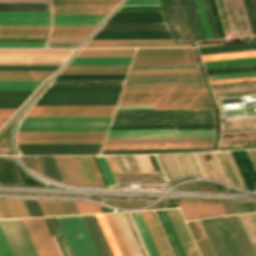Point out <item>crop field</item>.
Returning a JSON list of instances; mask_svg holds the SVG:
<instances>
[{"mask_svg":"<svg viewBox=\"0 0 256 256\" xmlns=\"http://www.w3.org/2000/svg\"><path fill=\"white\" fill-rule=\"evenodd\" d=\"M84 184L98 185L85 156H71Z\"/></svg>","mask_w":256,"mask_h":256,"instance_id":"crop-field-36","label":"crop field"},{"mask_svg":"<svg viewBox=\"0 0 256 256\" xmlns=\"http://www.w3.org/2000/svg\"><path fill=\"white\" fill-rule=\"evenodd\" d=\"M205 38L212 39L201 0H195Z\"/></svg>","mask_w":256,"mask_h":256,"instance_id":"crop-field-59","label":"crop field"},{"mask_svg":"<svg viewBox=\"0 0 256 256\" xmlns=\"http://www.w3.org/2000/svg\"><path fill=\"white\" fill-rule=\"evenodd\" d=\"M255 56H256V50L250 51V52L244 51V52L204 55L200 57L202 61H208V60L232 59V58L255 57Z\"/></svg>","mask_w":256,"mask_h":256,"instance_id":"crop-field-44","label":"crop field"},{"mask_svg":"<svg viewBox=\"0 0 256 256\" xmlns=\"http://www.w3.org/2000/svg\"><path fill=\"white\" fill-rule=\"evenodd\" d=\"M159 127H176V130H188V129H215V124H198V125H162V126H127V127H110L109 129H125V128H159ZM134 130H175V128H159V129H125V130H109V131H134Z\"/></svg>","mask_w":256,"mask_h":256,"instance_id":"crop-field-34","label":"crop field"},{"mask_svg":"<svg viewBox=\"0 0 256 256\" xmlns=\"http://www.w3.org/2000/svg\"><path fill=\"white\" fill-rule=\"evenodd\" d=\"M124 156H125L128 164H129L131 170L136 171V172H140L137 165H136V162L134 163L135 160H134L133 156L132 155H124Z\"/></svg>","mask_w":256,"mask_h":256,"instance_id":"crop-field-73","label":"crop field"},{"mask_svg":"<svg viewBox=\"0 0 256 256\" xmlns=\"http://www.w3.org/2000/svg\"><path fill=\"white\" fill-rule=\"evenodd\" d=\"M215 137L106 140L104 144L214 142Z\"/></svg>","mask_w":256,"mask_h":256,"instance_id":"crop-field-25","label":"crop field"},{"mask_svg":"<svg viewBox=\"0 0 256 256\" xmlns=\"http://www.w3.org/2000/svg\"><path fill=\"white\" fill-rule=\"evenodd\" d=\"M174 10H175L176 18L178 21L179 29L181 32L182 40L191 41L188 33L187 25L185 22V18L183 15L182 7L181 6L174 7Z\"/></svg>","mask_w":256,"mask_h":256,"instance_id":"crop-field-49","label":"crop field"},{"mask_svg":"<svg viewBox=\"0 0 256 256\" xmlns=\"http://www.w3.org/2000/svg\"><path fill=\"white\" fill-rule=\"evenodd\" d=\"M254 70H256V65L242 66V67H231V68H220V69H210V70H205V71H206L207 75H212V74L244 72V71H254Z\"/></svg>","mask_w":256,"mask_h":256,"instance_id":"crop-field-54","label":"crop field"},{"mask_svg":"<svg viewBox=\"0 0 256 256\" xmlns=\"http://www.w3.org/2000/svg\"><path fill=\"white\" fill-rule=\"evenodd\" d=\"M46 43H0V47H45Z\"/></svg>","mask_w":256,"mask_h":256,"instance_id":"crop-field-64","label":"crop field"},{"mask_svg":"<svg viewBox=\"0 0 256 256\" xmlns=\"http://www.w3.org/2000/svg\"><path fill=\"white\" fill-rule=\"evenodd\" d=\"M63 215L79 214L73 202L56 201Z\"/></svg>","mask_w":256,"mask_h":256,"instance_id":"crop-field-62","label":"crop field"},{"mask_svg":"<svg viewBox=\"0 0 256 256\" xmlns=\"http://www.w3.org/2000/svg\"><path fill=\"white\" fill-rule=\"evenodd\" d=\"M140 213H141V215L146 223V226L153 238V241L159 251L160 256H169L150 212L144 211V212H140Z\"/></svg>","mask_w":256,"mask_h":256,"instance_id":"crop-field-35","label":"crop field"},{"mask_svg":"<svg viewBox=\"0 0 256 256\" xmlns=\"http://www.w3.org/2000/svg\"><path fill=\"white\" fill-rule=\"evenodd\" d=\"M14 218L30 217L22 200H6Z\"/></svg>","mask_w":256,"mask_h":256,"instance_id":"crop-field-47","label":"crop field"},{"mask_svg":"<svg viewBox=\"0 0 256 256\" xmlns=\"http://www.w3.org/2000/svg\"><path fill=\"white\" fill-rule=\"evenodd\" d=\"M55 218L73 256H98L80 216Z\"/></svg>","mask_w":256,"mask_h":256,"instance_id":"crop-field-4","label":"crop field"},{"mask_svg":"<svg viewBox=\"0 0 256 256\" xmlns=\"http://www.w3.org/2000/svg\"><path fill=\"white\" fill-rule=\"evenodd\" d=\"M173 6L182 5L191 40L204 39L194 0H172Z\"/></svg>","mask_w":256,"mask_h":256,"instance_id":"crop-field-17","label":"crop field"},{"mask_svg":"<svg viewBox=\"0 0 256 256\" xmlns=\"http://www.w3.org/2000/svg\"><path fill=\"white\" fill-rule=\"evenodd\" d=\"M177 42L182 41L170 0H162Z\"/></svg>","mask_w":256,"mask_h":256,"instance_id":"crop-field-48","label":"crop field"},{"mask_svg":"<svg viewBox=\"0 0 256 256\" xmlns=\"http://www.w3.org/2000/svg\"><path fill=\"white\" fill-rule=\"evenodd\" d=\"M170 30L167 23H105L100 31Z\"/></svg>","mask_w":256,"mask_h":256,"instance_id":"crop-field-23","label":"crop field"},{"mask_svg":"<svg viewBox=\"0 0 256 256\" xmlns=\"http://www.w3.org/2000/svg\"><path fill=\"white\" fill-rule=\"evenodd\" d=\"M95 216H96V218H97V220H98V222L100 224V227H101V229H102V231H103V233L105 235V238H106V240H107V242L109 244V247H110L113 255L114 256H121V254H120V252L118 250V247H117V245H116V243H115V241H114V239L112 237V234H111V232H110V230H109V228L107 226V223H106L103 215L102 214H98V215H95Z\"/></svg>","mask_w":256,"mask_h":256,"instance_id":"crop-field-43","label":"crop field"},{"mask_svg":"<svg viewBox=\"0 0 256 256\" xmlns=\"http://www.w3.org/2000/svg\"><path fill=\"white\" fill-rule=\"evenodd\" d=\"M116 106H33L26 117L112 116Z\"/></svg>","mask_w":256,"mask_h":256,"instance_id":"crop-field-8","label":"crop field"},{"mask_svg":"<svg viewBox=\"0 0 256 256\" xmlns=\"http://www.w3.org/2000/svg\"><path fill=\"white\" fill-rule=\"evenodd\" d=\"M122 256H131L111 213L103 214Z\"/></svg>","mask_w":256,"mask_h":256,"instance_id":"crop-field-39","label":"crop field"},{"mask_svg":"<svg viewBox=\"0 0 256 256\" xmlns=\"http://www.w3.org/2000/svg\"><path fill=\"white\" fill-rule=\"evenodd\" d=\"M215 136V130L108 132L106 139Z\"/></svg>","mask_w":256,"mask_h":256,"instance_id":"crop-field-13","label":"crop field"},{"mask_svg":"<svg viewBox=\"0 0 256 256\" xmlns=\"http://www.w3.org/2000/svg\"><path fill=\"white\" fill-rule=\"evenodd\" d=\"M200 222L217 256H242L223 217Z\"/></svg>","mask_w":256,"mask_h":256,"instance_id":"crop-field-7","label":"crop field"},{"mask_svg":"<svg viewBox=\"0 0 256 256\" xmlns=\"http://www.w3.org/2000/svg\"><path fill=\"white\" fill-rule=\"evenodd\" d=\"M80 214L98 213L100 212L98 206L86 203L74 202Z\"/></svg>","mask_w":256,"mask_h":256,"instance_id":"crop-field-63","label":"crop field"},{"mask_svg":"<svg viewBox=\"0 0 256 256\" xmlns=\"http://www.w3.org/2000/svg\"><path fill=\"white\" fill-rule=\"evenodd\" d=\"M50 26H0V37H48Z\"/></svg>","mask_w":256,"mask_h":256,"instance_id":"crop-field-20","label":"crop field"},{"mask_svg":"<svg viewBox=\"0 0 256 256\" xmlns=\"http://www.w3.org/2000/svg\"><path fill=\"white\" fill-rule=\"evenodd\" d=\"M221 204H222L227 215L237 213L233 204H223V203H221Z\"/></svg>","mask_w":256,"mask_h":256,"instance_id":"crop-field-74","label":"crop field"},{"mask_svg":"<svg viewBox=\"0 0 256 256\" xmlns=\"http://www.w3.org/2000/svg\"><path fill=\"white\" fill-rule=\"evenodd\" d=\"M115 5L52 4V13H108Z\"/></svg>","mask_w":256,"mask_h":256,"instance_id":"crop-field-21","label":"crop field"},{"mask_svg":"<svg viewBox=\"0 0 256 256\" xmlns=\"http://www.w3.org/2000/svg\"><path fill=\"white\" fill-rule=\"evenodd\" d=\"M0 256H14L0 225Z\"/></svg>","mask_w":256,"mask_h":256,"instance_id":"crop-field-61","label":"crop field"},{"mask_svg":"<svg viewBox=\"0 0 256 256\" xmlns=\"http://www.w3.org/2000/svg\"><path fill=\"white\" fill-rule=\"evenodd\" d=\"M159 211H160V213H161V215L163 217V220H164V222H165V224L167 226V229H168V231H169V233L171 235V238H172V240H173V242L175 244V247H176V249H177V251L179 253V256H185V254H184V252H183V250L181 248V245H180V243L178 241V238H177V236L175 234V231H174V229L172 227V224H171V222H170V220L168 218V215H167L166 211L165 210H159Z\"/></svg>","mask_w":256,"mask_h":256,"instance_id":"crop-field-51","label":"crop field"},{"mask_svg":"<svg viewBox=\"0 0 256 256\" xmlns=\"http://www.w3.org/2000/svg\"><path fill=\"white\" fill-rule=\"evenodd\" d=\"M96 26H53L50 37H87Z\"/></svg>","mask_w":256,"mask_h":256,"instance_id":"crop-field-27","label":"crop field"},{"mask_svg":"<svg viewBox=\"0 0 256 256\" xmlns=\"http://www.w3.org/2000/svg\"><path fill=\"white\" fill-rule=\"evenodd\" d=\"M112 172H122L114 156H105Z\"/></svg>","mask_w":256,"mask_h":256,"instance_id":"crop-field-69","label":"crop field"},{"mask_svg":"<svg viewBox=\"0 0 256 256\" xmlns=\"http://www.w3.org/2000/svg\"><path fill=\"white\" fill-rule=\"evenodd\" d=\"M132 58H73L68 65H130Z\"/></svg>","mask_w":256,"mask_h":256,"instance_id":"crop-field-31","label":"crop field"},{"mask_svg":"<svg viewBox=\"0 0 256 256\" xmlns=\"http://www.w3.org/2000/svg\"><path fill=\"white\" fill-rule=\"evenodd\" d=\"M22 220L39 256H59L42 218Z\"/></svg>","mask_w":256,"mask_h":256,"instance_id":"crop-field-11","label":"crop field"},{"mask_svg":"<svg viewBox=\"0 0 256 256\" xmlns=\"http://www.w3.org/2000/svg\"><path fill=\"white\" fill-rule=\"evenodd\" d=\"M252 80H256V78L236 79V80H225V81H214V82H209V83H210V84H216V83H228V82L252 81Z\"/></svg>","mask_w":256,"mask_h":256,"instance_id":"crop-field-76","label":"crop field"},{"mask_svg":"<svg viewBox=\"0 0 256 256\" xmlns=\"http://www.w3.org/2000/svg\"><path fill=\"white\" fill-rule=\"evenodd\" d=\"M238 216H239V218H240V220H241V222H242V224H243V226H244V228H245V231H246V233H247V235H248V237H249L251 243L253 244L254 242H253V240H252V238H251V236H250V234H249V232H248V230H247V228H246V226H245V224H244V222H243L241 216H240V215H238Z\"/></svg>","mask_w":256,"mask_h":256,"instance_id":"crop-field-77","label":"crop field"},{"mask_svg":"<svg viewBox=\"0 0 256 256\" xmlns=\"http://www.w3.org/2000/svg\"><path fill=\"white\" fill-rule=\"evenodd\" d=\"M45 216L62 215L55 201H38Z\"/></svg>","mask_w":256,"mask_h":256,"instance_id":"crop-field-56","label":"crop field"},{"mask_svg":"<svg viewBox=\"0 0 256 256\" xmlns=\"http://www.w3.org/2000/svg\"><path fill=\"white\" fill-rule=\"evenodd\" d=\"M120 0H51L52 3L117 4Z\"/></svg>","mask_w":256,"mask_h":256,"instance_id":"crop-field-60","label":"crop field"},{"mask_svg":"<svg viewBox=\"0 0 256 256\" xmlns=\"http://www.w3.org/2000/svg\"><path fill=\"white\" fill-rule=\"evenodd\" d=\"M13 218L5 200H0V219Z\"/></svg>","mask_w":256,"mask_h":256,"instance_id":"crop-field-66","label":"crop field"},{"mask_svg":"<svg viewBox=\"0 0 256 256\" xmlns=\"http://www.w3.org/2000/svg\"><path fill=\"white\" fill-rule=\"evenodd\" d=\"M128 69L63 70L60 74L127 73Z\"/></svg>","mask_w":256,"mask_h":256,"instance_id":"crop-field-53","label":"crop field"},{"mask_svg":"<svg viewBox=\"0 0 256 256\" xmlns=\"http://www.w3.org/2000/svg\"><path fill=\"white\" fill-rule=\"evenodd\" d=\"M251 75H256V72L227 74V75H217V76H212V78L213 79H218V78H229V77H240V76H251Z\"/></svg>","mask_w":256,"mask_h":256,"instance_id":"crop-field-71","label":"crop field"},{"mask_svg":"<svg viewBox=\"0 0 256 256\" xmlns=\"http://www.w3.org/2000/svg\"><path fill=\"white\" fill-rule=\"evenodd\" d=\"M154 102V109L213 108L210 99L188 100H142L119 101L118 103Z\"/></svg>","mask_w":256,"mask_h":256,"instance_id":"crop-field-16","label":"crop field"},{"mask_svg":"<svg viewBox=\"0 0 256 256\" xmlns=\"http://www.w3.org/2000/svg\"><path fill=\"white\" fill-rule=\"evenodd\" d=\"M186 221L226 215L220 203L177 202Z\"/></svg>","mask_w":256,"mask_h":256,"instance_id":"crop-field-14","label":"crop field"},{"mask_svg":"<svg viewBox=\"0 0 256 256\" xmlns=\"http://www.w3.org/2000/svg\"><path fill=\"white\" fill-rule=\"evenodd\" d=\"M106 131L18 132L17 143H102Z\"/></svg>","mask_w":256,"mask_h":256,"instance_id":"crop-field-5","label":"crop field"},{"mask_svg":"<svg viewBox=\"0 0 256 256\" xmlns=\"http://www.w3.org/2000/svg\"><path fill=\"white\" fill-rule=\"evenodd\" d=\"M111 118H24L18 131L106 130Z\"/></svg>","mask_w":256,"mask_h":256,"instance_id":"crop-field-2","label":"crop field"},{"mask_svg":"<svg viewBox=\"0 0 256 256\" xmlns=\"http://www.w3.org/2000/svg\"><path fill=\"white\" fill-rule=\"evenodd\" d=\"M66 182L83 184L70 156H54Z\"/></svg>","mask_w":256,"mask_h":256,"instance_id":"crop-field-28","label":"crop field"},{"mask_svg":"<svg viewBox=\"0 0 256 256\" xmlns=\"http://www.w3.org/2000/svg\"><path fill=\"white\" fill-rule=\"evenodd\" d=\"M85 47H191L174 40H90Z\"/></svg>","mask_w":256,"mask_h":256,"instance_id":"crop-field-15","label":"crop field"},{"mask_svg":"<svg viewBox=\"0 0 256 256\" xmlns=\"http://www.w3.org/2000/svg\"><path fill=\"white\" fill-rule=\"evenodd\" d=\"M205 69L256 64V58L203 62Z\"/></svg>","mask_w":256,"mask_h":256,"instance_id":"crop-field-40","label":"crop field"},{"mask_svg":"<svg viewBox=\"0 0 256 256\" xmlns=\"http://www.w3.org/2000/svg\"><path fill=\"white\" fill-rule=\"evenodd\" d=\"M42 81H0V90H35Z\"/></svg>","mask_w":256,"mask_h":256,"instance_id":"crop-field-41","label":"crop field"},{"mask_svg":"<svg viewBox=\"0 0 256 256\" xmlns=\"http://www.w3.org/2000/svg\"><path fill=\"white\" fill-rule=\"evenodd\" d=\"M0 25H50L49 19H0Z\"/></svg>","mask_w":256,"mask_h":256,"instance_id":"crop-field-45","label":"crop field"},{"mask_svg":"<svg viewBox=\"0 0 256 256\" xmlns=\"http://www.w3.org/2000/svg\"><path fill=\"white\" fill-rule=\"evenodd\" d=\"M33 91H0V108H18Z\"/></svg>","mask_w":256,"mask_h":256,"instance_id":"crop-field-30","label":"crop field"},{"mask_svg":"<svg viewBox=\"0 0 256 256\" xmlns=\"http://www.w3.org/2000/svg\"><path fill=\"white\" fill-rule=\"evenodd\" d=\"M150 256H159L145 223L139 212H130Z\"/></svg>","mask_w":256,"mask_h":256,"instance_id":"crop-field-33","label":"crop field"},{"mask_svg":"<svg viewBox=\"0 0 256 256\" xmlns=\"http://www.w3.org/2000/svg\"><path fill=\"white\" fill-rule=\"evenodd\" d=\"M213 147V143L104 145L102 150Z\"/></svg>","mask_w":256,"mask_h":256,"instance_id":"crop-field-24","label":"crop field"},{"mask_svg":"<svg viewBox=\"0 0 256 256\" xmlns=\"http://www.w3.org/2000/svg\"><path fill=\"white\" fill-rule=\"evenodd\" d=\"M115 157H116L123 172L130 171L123 155H119V156H115Z\"/></svg>","mask_w":256,"mask_h":256,"instance_id":"crop-field-72","label":"crop field"},{"mask_svg":"<svg viewBox=\"0 0 256 256\" xmlns=\"http://www.w3.org/2000/svg\"><path fill=\"white\" fill-rule=\"evenodd\" d=\"M205 85L201 74L128 76L124 87Z\"/></svg>","mask_w":256,"mask_h":256,"instance_id":"crop-field-9","label":"crop field"},{"mask_svg":"<svg viewBox=\"0 0 256 256\" xmlns=\"http://www.w3.org/2000/svg\"><path fill=\"white\" fill-rule=\"evenodd\" d=\"M105 15L106 14H52L53 25H98Z\"/></svg>","mask_w":256,"mask_h":256,"instance_id":"crop-field-19","label":"crop field"},{"mask_svg":"<svg viewBox=\"0 0 256 256\" xmlns=\"http://www.w3.org/2000/svg\"><path fill=\"white\" fill-rule=\"evenodd\" d=\"M255 49H256V43L198 48L200 55L244 51V50H255Z\"/></svg>","mask_w":256,"mask_h":256,"instance_id":"crop-field-37","label":"crop field"},{"mask_svg":"<svg viewBox=\"0 0 256 256\" xmlns=\"http://www.w3.org/2000/svg\"><path fill=\"white\" fill-rule=\"evenodd\" d=\"M186 256H199L178 209L166 210Z\"/></svg>","mask_w":256,"mask_h":256,"instance_id":"crop-field-18","label":"crop field"},{"mask_svg":"<svg viewBox=\"0 0 256 256\" xmlns=\"http://www.w3.org/2000/svg\"><path fill=\"white\" fill-rule=\"evenodd\" d=\"M196 222H197V224H198V226H199V228H200V230H201V232H202V234H203V236H204V238H205V240H206V242H207V245H208V247H209V249H210L212 255H213V256H216V255H215V252H214V250H213V248H212V246H211V244H210V242H209V240H208V238H207V236H206V234H205V232H204V230H203V228H202V226H201V224H200V222H199V221H196Z\"/></svg>","mask_w":256,"mask_h":256,"instance_id":"crop-field-75","label":"crop field"},{"mask_svg":"<svg viewBox=\"0 0 256 256\" xmlns=\"http://www.w3.org/2000/svg\"><path fill=\"white\" fill-rule=\"evenodd\" d=\"M0 184L16 185L3 157H0Z\"/></svg>","mask_w":256,"mask_h":256,"instance_id":"crop-field-55","label":"crop field"},{"mask_svg":"<svg viewBox=\"0 0 256 256\" xmlns=\"http://www.w3.org/2000/svg\"><path fill=\"white\" fill-rule=\"evenodd\" d=\"M125 80H55L51 86H122Z\"/></svg>","mask_w":256,"mask_h":256,"instance_id":"crop-field-32","label":"crop field"},{"mask_svg":"<svg viewBox=\"0 0 256 256\" xmlns=\"http://www.w3.org/2000/svg\"><path fill=\"white\" fill-rule=\"evenodd\" d=\"M199 69L198 65L132 66L130 70Z\"/></svg>","mask_w":256,"mask_h":256,"instance_id":"crop-field-50","label":"crop field"},{"mask_svg":"<svg viewBox=\"0 0 256 256\" xmlns=\"http://www.w3.org/2000/svg\"><path fill=\"white\" fill-rule=\"evenodd\" d=\"M202 1H203L204 9H205V12H206L207 20H208V23H209V27H210V30H211L212 38L213 39L219 38L218 33H217V29H216V26H215L214 18H213V15H212L211 7H210V4H209V0H202Z\"/></svg>","mask_w":256,"mask_h":256,"instance_id":"crop-field-58","label":"crop field"},{"mask_svg":"<svg viewBox=\"0 0 256 256\" xmlns=\"http://www.w3.org/2000/svg\"><path fill=\"white\" fill-rule=\"evenodd\" d=\"M122 87H49L35 105H116Z\"/></svg>","mask_w":256,"mask_h":256,"instance_id":"crop-field-1","label":"crop field"},{"mask_svg":"<svg viewBox=\"0 0 256 256\" xmlns=\"http://www.w3.org/2000/svg\"><path fill=\"white\" fill-rule=\"evenodd\" d=\"M198 64L193 49H138L132 65Z\"/></svg>","mask_w":256,"mask_h":256,"instance_id":"crop-field-6","label":"crop field"},{"mask_svg":"<svg viewBox=\"0 0 256 256\" xmlns=\"http://www.w3.org/2000/svg\"><path fill=\"white\" fill-rule=\"evenodd\" d=\"M55 71H0V80H44Z\"/></svg>","mask_w":256,"mask_h":256,"instance_id":"crop-field-29","label":"crop field"},{"mask_svg":"<svg viewBox=\"0 0 256 256\" xmlns=\"http://www.w3.org/2000/svg\"><path fill=\"white\" fill-rule=\"evenodd\" d=\"M252 215H253V217H254V219H255V221H256V214H253V213H252Z\"/></svg>","mask_w":256,"mask_h":256,"instance_id":"crop-field-78","label":"crop field"},{"mask_svg":"<svg viewBox=\"0 0 256 256\" xmlns=\"http://www.w3.org/2000/svg\"><path fill=\"white\" fill-rule=\"evenodd\" d=\"M43 173L56 180L64 181L53 156H36ZM65 182V181H64Z\"/></svg>","mask_w":256,"mask_h":256,"instance_id":"crop-field-38","label":"crop field"},{"mask_svg":"<svg viewBox=\"0 0 256 256\" xmlns=\"http://www.w3.org/2000/svg\"><path fill=\"white\" fill-rule=\"evenodd\" d=\"M129 68V66H66L65 69Z\"/></svg>","mask_w":256,"mask_h":256,"instance_id":"crop-field-68","label":"crop field"},{"mask_svg":"<svg viewBox=\"0 0 256 256\" xmlns=\"http://www.w3.org/2000/svg\"><path fill=\"white\" fill-rule=\"evenodd\" d=\"M135 49H82L75 57H132Z\"/></svg>","mask_w":256,"mask_h":256,"instance_id":"crop-field-26","label":"crop field"},{"mask_svg":"<svg viewBox=\"0 0 256 256\" xmlns=\"http://www.w3.org/2000/svg\"><path fill=\"white\" fill-rule=\"evenodd\" d=\"M202 256H212L195 221L186 222Z\"/></svg>","mask_w":256,"mask_h":256,"instance_id":"crop-field-42","label":"crop field"},{"mask_svg":"<svg viewBox=\"0 0 256 256\" xmlns=\"http://www.w3.org/2000/svg\"><path fill=\"white\" fill-rule=\"evenodd\" d=\"M201 73L200 70L130 71L128 75Z\"/></svg>","mask_w":256,"mask_h":256,"instance_id":"crop-field-57","label":"crop field"},{"mask_svg":"<svg viewBox=\"0 0 256 256\" xmlns=\"http://www.w3.org/2000/svg\"><path fill=\"white\" fill-rule=\"evenodd\" d=\"M109 187L117 186L104 156H95Z\"/></svg>","mask_w":256,"mask_h":256,"instance_id":"crop-field-52","label":"crop field"},{"mask_svg":"<svg viewBox=\"0 0 256 256\" xmlns=\"http://www.w3.org/2000/svg\"><path fill=\"white\" fill-rule=\"evenodd\" d=\"M0 18H49L48 12H0Z\"/></svg>","mask_w":256,"mask_h":256,"instance_id":"crop-field-46","label":"crop field"},{"mask_svg":"<svg viewBox=\"0 0 256 256\" xmlns=\"http://www.w3.org/2000/svg\"><path fill=\"white\" fill-rule=\"evenodd\" d=\"M17 185H23L10 157H4Z\"/></svg>","mask_w":256,"mask_h":256,"instance_id":"crop-field-65","label":"crop field"},{"mask_svg":"<svg viewBox=\"0 0 256 256\" xmlns=\"http://www.w3.org/2000/svg\"><path fill=\"white\" fill-rule=\"evenodd\" d=\"M19 150H100L102 144H17Z\"/></svg>","mask_w":256,"mask_h":256,"instance_id":"crop-field-22","label":"crop field"},{"mask_svg":"<svg viewBox=\"0 0 256 256\" xmlns=\"http://www.w3.org/2000/svg\"><path fill=\"white\" fill-rule=\"evenodd\" d=\"M15 256H38L21 219L0 220Z\"/></svg>","mask_w":256,"mask_h":256,"instance_id":"crop-field-10","label":"crop field"},{"mask_svg":"<svg viewBox=\"0 0 256 256\" xmlns=\"http://www.w3.org/2000/svg\"><path fill=\"white\" fill-rule=\"evenodd\" d=\"M161 4L160 0H127L123 5Z\"/></svg>","mask_w":256,"mask_h":256,"instance_id":"crop-field-67","label":"crop field"},{"mask_svg":"<svg viewBox=\"0 0 256 256\" xmlns=\"http://www.w3.org/2000/svg\"><path fill=\"white\" fill-rule=\"evenodd\" d=\"M15 110L16 109H0V125H3Z\"/></svg>","mask_w":256,"mask_h":256,"instance_id":"crop-field-70","label":"crop field"},{"mask_svg":"<svg viewBox=\"0 0 256 256\" xmlns=\"http://www.w3.org/2000/svg\"><path fill=\"white\" fill-rule=\"evenodd\" d=\"M74 50H0V53H72ZM0 57L20 58H68L69 55H21L0 54ZM65 59H0V62H64ZM23 65H61V63H0Z\"/></svg>","mask_w":256,"mask_h":256,"instance_id":"crop-field-12","label":"crop field"},{"mask_svg":"<svg viewBox=\"0 0 256 256\" xmlns=\"http://www.w3.org/2000/svg\"><path fill=\"white\" fill-rule=\"evenodd\" d=\"M209 98L205 86L124 88L120 100Z\"/></svg>","mask_w":256,"mask_h":256,"instance_id":"crop-field-3","label":"crop field"}]
</instances>
